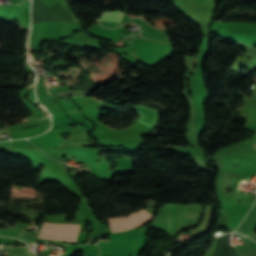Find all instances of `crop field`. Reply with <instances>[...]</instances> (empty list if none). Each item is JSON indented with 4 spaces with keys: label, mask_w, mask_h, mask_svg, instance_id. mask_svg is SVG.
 <instances>
[{
    "label": "crop field",
    "mask_w": 256,
    "mask_h": 256,
    "mask_svg": "<svg viewBox=\"0 0 256 256\" xmlns=\"http://www.w3.org/2000/svg\"><path fill=\"white\" fill-rule=\"evenodd\" d=\"M135 52L145 63L155 61L153 44L151 41L134 40Z\"/></svg>",
    "instance_id": "3"
},
{
    "label": "crop field",
    "mask_w": 256,
    "mask_h": 256,
    "mask_svg": "<svg viewBox=\"0 0 256 256\" xmlns=\"http://www.w3.org/2000/svg\"><path fill=\"white\" fill-rule=\"evenodd\" d=\"M153 217L145 210L129 214L127 217L109 219L112 232L127 230L147 223Z\"/></svg>",
    "instance_id": "2"
},
{
    "label": "crop field",
    "mask_w": 256,
    "mask_h": 256,
    "mask_svg": "<svg viewBox=\"0 0 256 256\" xmlns=\"http://www.w3.org/2000/svg\"><path fill=\"white\" fill-rule=\"evenodd\" d=\"M24 4V3H23ZM19 5V4H18Z\"/></svg>",
    "instance_id": "6"
},
{
    "label": "crop field",
    "mask_w": 256,
    "mask_h": 256,
    "mask_svg": "<svg viewBox=\"0 0 256 256\" xmlns=\"http://www.w3.org/2000/svg\"><path fill=\"white\" fill-rule=\"evenodd\" d=\"M85 169H86V171H88V172H90L91 174H93V171H92V169H91V167H90V166L85 167Z\"/></svg>",
    "instance_id": "5"
},
{
    "label": "crop field",
    "mask_w": 256,
    "mask_h": 256,
    "mask_svg": "<svg viewBox=\"0 0 256 256\" xmlns=\"http://www.w3.org/2000/svg\"><path fill=\"white\" fill-rule=\"evenodd\" d=\"M123 13L119 11L103 13L100 19L97 21H110V22H120Z\"/></svg>",
    "instance_id": "4"
},
{
    "label": "crop field",
    "mask_w": 256,
    "mask_h": 256,
    "mask_svg": "<svg viewBox=\"0 0 256 256\" xmlns=\"http://www.w3.org/2000/svg\"><path fill=\"white\" fill-rule=\"evenodd\" d=\"M80 225L45 223L38 238L76 242Z\"/></svg>",
    "instance_id": "1"
}]
</instances>
